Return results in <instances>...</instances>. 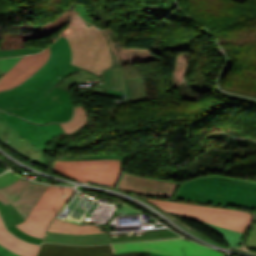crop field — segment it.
Instances as JSON below:
<instances>
[{
  "label": "crop field",
  "instance_id": "obj_1",
  "mask_svg": "<svg viewBox=\"0 0 256 256\" xmlns=\"http://www.w3.org/2000/svg\"><path fill=\"white\" fill-rule=\"evenodd\" d=\"M50 50V58L33 76L13 89L0 92V108L37 105L62 78L80 69L70 65L71 50L66 38L59 37Z\"/></svg>",
  "mask_w": 256,
  "mask_h": 256
},
{
  "label": "crop field",
  "instance_id": "obj_2",
  "mask_svg": "<svg viewBox=\"0 0 256 256\" xmlns=\"http://www.w3.org/2000/svg\"><path fill=\"white\" fill-rule=\"evenodd\" d=\"M173 199L252 209L256 189L199 177L181 184Z\"/></svg>",
  "mask_w": 256,
  "mask_h": 256
},
{
  "label": "crop field",
  "instance_id": "obj_3",
  "mask_svg": "<svg viewBox=\"0 0 256 256\" xmlns=\"http://www.w3.org/2000/svg\"><path fill=\"white\" fill-rule=\"evenodd\" d=\"M72 50L71 64L90 70L101 76L103 69L111 68L109 46L103 33L96 26L87 27L74 14L71 25L63 32Z\"/></svg>",
  "mask_w": 256,
  "mask_h": 256
},
{
  "label": "crop field",
  "instance_id": "obj_4",
  "mask_svg": "<svg viewBox=\"0 0 256 256\" xmlns=\"http://www.w3.org/2000/svg\"><path fill=\"white\" fill-rule=\"evenodd\" d=\"M181 236L171 232L165 227H154L124 231H114L110 233H95L84 235H73L56 232H47L44 242H58L80 245H95L115 242L154 240L180 238Z\"/></svg>",
  "mask_w": 256,
  "mask_h": 256
},
{
  "label": "crop field",
  "instance_id": "obj_5",
  "mask_svg": "<svg viewBox=\"0 0 256 256\" xmlns=\"http://www.w3.org/2000/svg\"><path fill=\"white\" fill-rule=\"evenodd\" d=\"M147 200L167 211L201 219L244 234L252 221V215L245 211L218 209L200 205H189L159 200Z\"/></svg>",
  "mask_w": 256,
  "mask_h": 256
},
{
  "label": "crop field",
  "instance_id": "obj_6",
  "mask_svg": "<svg viewBox=\"0 0 256 256\" xmlns=\"http://www.w3.org/2000/svg\"><path fill=\"white\" fill-rule=\"evenodd\" d=\"M117 160L55 162L53 170L80 182H99L115 186L123 168Z\"/></svg>",
  "mask_w": 256,
  "mask_h": 256
},
{
  "label": "crop field",
  "instance_id": "obj_7",
  "mask_svg": "<svg viewBox=\"0 0 256 256\" xmlns=\"http://www.w3.org/2000/svg\"><path fill=\"white\" fill-rule=\"evenodd\" d=\"M73 192L71 187L49 186L26 221L17 225L25 233L43 238L48 223ZM66 194V197H63Z\"/></svg>",
  "mask_w": 256,
  "mask_h": 256
},
{
  "label": "crop field",
  "instance_id": "obj_8",
  "mask_svg": "<svg viewBox=\"0 0 256 256\" xmlns=\"http://www.w3.org/2000/svg\"><path fill=\"white\" fill-rule=\"evenodd\" d=\"M66 90L54 87L47 97L37 106L22 109H2L16 113L37 123L65 122L71 119L73 103Z\"/></svg>",
  "mask_w": 256,
  "mask_h": 256
},
{
  "label": "crop field",
  "instance_id": "obj_9",
  "mask_svg": "<svg viewBox=\"0 0 256 256\" xmlns=\"http://www.w3.org/2000/svg\"><path fill=\"white\" fill-rule=\"evenodd\" d=\"M114 253L148 250L166 256H225L186 239L112 245Z\"/></svg>",
  "mask_w": 256,
  "mask_h": 256
},
{
  "label": "crop field",
  "instance_id": "obj_10",
  "mask_svg": "<svg viewBox=\"0 0 256 256\" xmlns=\"http://www.w3.org/2000/svg\"><path fill=\"white\" fill-rule=\"evenodd\" d=\"M47 187L20 178L11 185L0 188V201L5 205L11 203L25 220Z\"/></svg>",
  "mask_w": 256,
  "mask_h": 256
},
{
  "label": "crop field",
  "instance_id": "obj_11",
  "mask_svg": "<svg viewBox=\"0 0 256 256\" xmlns=\"http://www.w3.org/2000/svg\"><path fill=\"white\" fill-rule=\"evenodd\" d=\"M49 47L36 55L24 56L0 77V91L10 89L33 75L49 58Z\"/></svg>",
  "mask_w": 256,
  "mask_h": 256
},
{
  "label": "crop field",
  "instance_id": "obj_12",
  "mask_svg": "<svg viewBox=\"0 0 256 256\" xmlns=\"http://www.w3.org/2000/svg\"><path fill=\"white\" fill-rule=\"evenodd\" d=\"M178 185L179 183L148 179L124 173L118 188L138 194L171 198L174 189Z\"/></svg>",
  "mask_w": 256,
  "mask_h": 256
},
{
  "label": "crop field",
  "instance_id": "obj_13",
  "mask_svg": "<svg viewBox=\"0 0 256 256\" xmlns=\"http://www.w3.org/2000/svg\"><path fill=\"white\" fill-rule=\"evenodd\" d=\"M7 123V122H6ZM0 116V141L15 151L17 154L43 166L45 165L44 152L27 143L17 136ZM9 141V143H6Z\"/></svg>",
  "mask_w": 256,
  "mask_h": 256
},
{
  "label": "crop field",
  "instance_id": "obj_14",
  "mask_svg": "<svg viewBox=\"0 0 256 256\" xmlns=\"http://www.w3.org/2000/svg\"><path fill=\"white\" fill-rule=\"evenodd\" d=\"M38 256H113L110 245L106 246H70L43 244Z\"/></svg>",
  "mask_w": 256,
  "mask_h": 256
},
{
  "label": "crop field",
  "instance_id": "obj_15",
  "mask_svg": "<svg viewBox=\"0 0 256 256\" xmlns=\"http://www.w3.org/2000/svg\"><path fill=\"white\" fill-rule=\"evenodd\" d=\"M0 243L6 248L23 256H36L40 248V246L24 243L21 240L12 236L5 229L1 219H0Z\"/></svg>",
  "mask_w": 256,
  "mask_h": 256
},
{
  "label": "crop field",
  "instance_id": "obj_16",
  "mask_svg": "<svg viewBox=\"0 0 256 256\" xmlns=\"http://www.w3.org/2000/svg\"><path fill=\"white\" fill-rule=\"evenodd\" d=\"M52 222L54 223L50 224L48 231L74 233V234L103 232L100 230V228H97V226L87 223L85 221L80 226L74 225L56 218H54Z\"/></svg>",
  "mask_w": 256,
  "mask_h": 256
},
{
  "label": "crop field",
  "instance_id": "obj_17",
  "mask_svg": "<svg viewBox=\"0 0 256 256\" xmlns=\"http://www.w3.org/2000/svg\"><path fill=\"white\" fill-rule=\"evenodd\" d=\"M104 79L105 87L125 91L124 76L121 67L106 69L101 76Z\"/></svg>",
  "mask_w": 256,
  "mask_h": 256
},
{
  "label": "crop field",
  "instance_id": "obj_18",
  "mask_svg": "<svg viewBox=\"0 0 256 256\" xmlns=\"http://www.w3.org/2000/svg\"><path fill=\"white\" fill-rule=\"evenodd\" d=\"M86 122L87 113L85 108L83 106H76L74 118L67 123H60V125L66 134H72L76 130L82 128Z\"/></svg>",
  "mask_w": 256,
  "mask_h": 256
},
{
  "label": "crop field",
  "instance_id": "obj_19",
  "mask_svg": "<svg viewBox=\"0 0 256 256\" xmlns=\"http://www.w3.org/2000/svg\"><path fill=\"white\" fill-rule=\"evenodd\" d=\"M142 78L125 79L126 84V102L144 100V91L141 84Z\"/></svg>",
  "mask_w": 256,
  "mask_h": 256
},
{
  "label": "crop field",
  "instance_id": "obj_20",
  "mask_svg": "<svg viewBox=\"0 0 256 256\" xmlns=\"http://www.w3.org/2000/svg\"><path fill=\"white\" fill-rule=\"evenodd\" d=\"M171 214H175V213H171ZM176 215H179V214H176ZM179 216H183V215H179ZM183 217H186V216H183ZM186 218H189V217H186ZM189 219L199 221V222L203 223L204 225L218 231L225 238V240L227 241V243L229 244L230 247H238L240 240L244 236L241 233H238V232H235V231H232L229 229H225V228H222V227H219V226H216V225L204 222V221L196 220L193 218H189Z\"/></svg>",
  "mask_w": 256,
  "mask_h": 256
},
{
  "label": "crop field",
  "instance_id": "obj_21",
  "mask_svg": "<svg viewBox=\"0 0 256 256\" xmlns=\"http://www.w3.org/2000/svg\"><path fill=\"white\" fill-rule=\"evenodd\" d=\"M0 214L5 222L6 227L13 226L24 221L11 204L5 206L0 202Z\"/></svg>",
  "mask_w": 256,
  "mask_h": 256
},
{
  "label": "crop field",
  "instance_id": "obj_22",
  "mask_svg": "<svg viewBox=\"0 0 256 256\" xmlns=\"http://www.w3.org/2000/svg\"><path fill=\"white\" fill-rule=\"evenodd\" d=\"M122 68H123L125 78H132V77H138V76H142L143 78V74L138 65H126V66H122ZM143 81H144V78H143ZM142 84L145 91V97L146 99H149L147 95L146 87H145V82Z\"/></svg>",
  "mask_w": 256,
  "mask_h": 256
},
{
  "label": "crop field",
  "instance_id": "obj_23",
  "mask_svg": "<svg viewBox=\"0 0 256 256\" xmlns=\"http://www.w3.org/2000/svg\"><path fill=\"white\" fill-rule=\"evenodd\" d=\"M40 51H42V50L32 49V48L1 49L0 50V57L22 55V54H31V53H37V52H40Z\"/></svg>",
  "mask_w": 256,
  "mask_h": 256
},
{
  "label": "crop field",
  "instance_id": "obj_24",
  "mask_svg": "<svg viewBox=\"0 0 256 256\" xmlns=\"http://www.w3.org/2000/svg\"><path fill=\"white\" fill-rule=\"evenodd\" d=\"M127 157H117L114 155H99V156H89L84 158H62L58 161H75V160H96V159H117L121 160L120 166L123 167Z\"/></svg>",
  "mask_w": 256,
  "mask_h": 256
},
{
  "label": "crop field",
  "instance_id": "obj_25",
  "mask_svg": "<svg viewBox=\"0 0 256 256\" xmlns=\"http://www.w3.org/2000/svg\"><path fill=\"white\" fill-rule=\"evenodd\" d=\"M207 178L224 181V182H228V183H232V184L256 188V182L244 181L239 178H226V177H217V176H207Z\"/></svg>",
  "mask_w": 256,
  "mask_h": 256
},
{
  "label": "crop field",
  "instance_id": "obj_26",
  "mask_svg": "<svg viewBox=\"0 0 256 256\" xmlns=\"http://www.w3.org/2000/svg\"><path fill=\"white\" fill-rule=\"evenodd\" d=\"M7 229L10 232H12L13 234H15L17 237H19V238H21L25 241H29V242H32L34 244H41L42 239L30 237L27 234H25L24 232H22L21 230H19L16 226L9 227Z\"/></svg>",
  "mask_w": 256,
  "mask_h": 256
},
{
  "label": "crop field",
  "instance_id": "obj_27",
  "mask_svg": "<svg viewBox=\"0 0 256 256\" xmlns=\"http://www.w3.org/2000/svg\"><path fill=\"white\" fill-rule=\"evenodd\" d=\"M23 56L12 57V58H3L0 59V76L10 69L17 61H19ZM5 74V73H4Z\"/></svg>",
  "mask_w": 256,
  "mask_h": 256
},
{
  "label": "crop field",
  "instance_id": "obj_28",
  "mask_svg": "<svg viewBox=\"0 0 256 256\" xmlns=\"http://www.w3.org/2000/svg\"><path fill=\"white\" fill-rule=\"evenodd\" d=\"M248 250L256 251V224L245 242Z\"/></svg>",
  "mask_w": 256,
  "mask_h": 256
},
{
  "label": "crop field",
  "instance_id": "obj_29",
  "mask_svg": "<svg viewBox=\"0 0 256 256\" xmlns=\"http://www.w3.org/2000/svg\"><path fill=\"white\" fill-rule=\"evenodd\" d=\"M19 177L14 174L7 172L0 176V187L6 186L17 180Z\"/></svg>",
  "mask_w": 256,
  "mask_h": 256
},
{
  "label": "crop field",
  "instance_id": "obj_30",
  "mask_svg": "<svg viewBox=\"0 0 256 256\" xmlns=\"http://www.w3.org/2000/svg\"><path fill=\"white\" fill-rule=\"evenodd\" d=\"M214 90H215L219 95H221V96H223V97H227V98H230V99H236V100H239V101H244V102L256 104V101H255V100H251V99H247V98H242V97H238V96H234V95H230V94H226V93L220 92V91L217 89L216 86L214 87Z\"/></svg>",
  "mask_w": 256,
  "mask_h": 256
},
{
  "label": "crop field",
  "instance_id": "obj_31",
  "mask_svg": "<svg viewBox=\"0 0 256 256\" xmlns=\"http://www.w3.org/2000/svg\"><path fill=\"white\" fill-rule=\"evenodd\" d=\"M122 212H125L126 214H136L141 213L135 209H132L128 206L122 205V207L119 209V211L116 213V215H121Z\"/></svg>",
  "mask_w": 256,
  "mask_h": 256
},
{
  "label": "crop field",
  "instance_id": "obj_32",
  "mask_svg": "<svg viewBox=\"0 0 256 256\" xmlns=\"http://www.w3.org/2000/svg\"><path fill=\"white\" fill-rule=\"evenodd\" d=\"M0 256H19L17 254H15L14 252L6 249L5 247H3L1 244H0Z\"/></svg>",
  "mask_w": 256,
  "mask_h": 256
},
{
  "label": "crop field",
  "instance_id": "obj_33",
  "mask_svg": "<svg viewBox=\"0 0 256 256\" xmlns=\"http://www.w3.org/2000/svg\"><path fill=\"white\" fill-rule=\"evenodd\" d=\"M140 252L150 253V252H148V251H140ZM122 254H126V253H122ZM117 255H121V254H115V256H117ZM150 256H162V255H158V254L150 253Z\"/></svg>",
  "mask_w": 256,
  "mask_h": 256
},
{
  "label": "crop field",
  "instance_id": "obj_34",
  "mask_svg": "<svg viewBox=\"0 0 256 256\" xmlns=\"http://www.w3.org/2000/svg\"><path fill=\"white\" fill-rule=\"evenodd\" d=\"M3 172H5V171H3V170L0 169V174L3 173Z\"/></svg>",
  "mask_w": 256,
  "mask_h": 256
}]
</instances>
